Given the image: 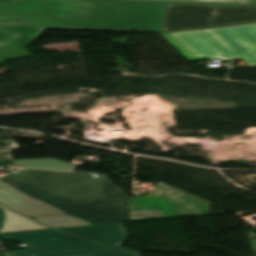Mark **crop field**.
I'll return each instance as SVG.
<instances>
[{
    "label": "crop field",
    "mask_w": 256,
    "mask_h": 256,
    "mask_svg": "<svg viewBox=\"0 0 256 256\" xmlns=\"http://www.w3.org/2000/svg\"><path fill=\"white\" fill-rule=\"evenodd\" d=\"M242 0H0V49L30 46L46 29L160 32L167 4Z\"/></svg>",
    "instance_id": "obj_1"
},
{
    "label": "crop field",
    "mask_w": 256,
    "mask_h": 256,
    "mask_svg": "<svg viewBox=\"0 0 256 256\" xmlns=\"http://www.w3.org/2000/svg\"><path fill=\"white\" fill-rule=\"evenodd\" d=\"M108 179L25 169L0 179V203L28 217L67 213L91 225L128 221L130 199Z\"/></svg>",
    "instance_id": "obj_2"
},
{
    "label": "crop field",
    "mask_w": 256,
    "mask_h": 256,
    "mask_svg": "<svg viewBox=\"0 0 256 256\" xmlns=\"http://www.w3.org/2000/svg\"><path fill=\"white\" fill-rule=\"evenodd\" d=\"M189 61L241 57L256 65V24L161 34Z\"/></svg>",
    "instance_id": "obj_3"
},
{
    "label": "crop field",
    "mask_w": 256,
    "mask_h": 256,
    "mask_svg": "<svg viewBox=\"0 0 256 256\" xmlns=\"http://www.w3.org/2000/svg\"><path fill=\"white\" fill-rule=\"evenodd\" d=\"M1 239L27 242L31 250L9 252V256H138L123 249H110L47 229L0 234Z\"/></svg>",
    "instance_id": "obj_4"
},
{
    "label": "crop field",
    "mask_w": 256,
    "mask_h": 256,
    "mask_svg": "<svg viewBox=\"0 0 256 256\" xmlns=\"http://www.w3.org/2000/svg\"><path fill=\"white\" fill-rule=\"evenodd\" d=\"M210 214V203L159 182L150 197L131 198L129 221Z\"/></svg>",
    "instance_id": "obj_5"
},
{
    "label": "crop field",
    "mask_w": 256,
    "mask_h": 256,
    "mask_svg": "<svg viewBox=\"0 0 256 256\" xmlns=\"http://www.w3.org/2000/svg\"><path fill=\"white\" fill-rule=\"evenodd\" d=\"M256 22V8L168 5L163 32Z\"/></svg>",
    "instance_id": "obj_6"
},
{
    "label": "crop field",
    "mask_w": 256,
    "mask_h": 256,
    "mask_svg": "<svg viewBox=\"0 0 256 256\" xmlns=\"http://www.w3.org/2000/svg\"><path fill=\"white\" fill-rule=\"evenodd\" d=\"M58 230L91 239L111 247H119L127 237L121 223L99 226L58 228Z\"/></svg>",
    "instance_id": "obj_7"
},
{
    "label": "crop field",
    "mask_w": 256,
    "mask_h": 256,
    "mask_svg": "<svg viewBox=\"0 0 256 256\" xmlns=\"http://www.w3.org/2000/svg\"><path fill=\"white\" fill-rule=\"evenodd\" d=\"M47 229V227L0 206V233Z\"/></svg>",
    "instance_id": "obj_8"
},
{
    "label": "crop field",
    "mask_w": 256,
    "mask_h": 256,
    "mask_svg": "<svg viewBox=\"0 0 256 256\" xmlns=\"http://www.w3.org/2000/svg\"><path fill=\"white\" fill-rule=\"evenodd\" d=\"M15 162L22 167H29V168L71 170L76 167L56 159L23 160V161H15Z\"/></svg>",
    "instance_id": "obj_9"
},
{
    "label": "crop field",
    "mask_w": 256,
    "mask_h": 256,
    "mask_svg": "<svg viewBox=\"0 0 256 256\" xmlns=\"http://www.w3.org/2000/svg\"><path fill=\"white\" fill-rule=\"evenodd\" d=\"M33 219L51 227V228L89 225L88 223H86L83 220L69 217L67 215L52 216V217H40V218H33Z\"/></svg>",
    "instance_id": "obj_10"
},
{
    "label": "crop field",
    "mask_w": 256,
    "mask_h": 256,
    "mask_svg": "<svg viewBox=\"0 0 256 256\" xmlns=\"http://www.w3.org/2000/svg\"><path fill=\"white\" fill-rule=\"evenodd\" d=\"M31 57L27 47L1 49L0 50V65L7 59L27 58Z\"/></svg>",
    "instance_id": "obj_11"
},
{
    "label": "crop field",
    "mask_w": 256,
    "mask_h": 256,
    "mask_svg": "<svg viewBox=\"0 0 256 256\" xmlns=\"http://www.w3.org/2000/svg\"><path fill=\"white\" fill-rule=\"evenodd\" d=\"M18 149L14 140L0 141V150Z\"/></svg>",
    "instance_id": "obj_12"
},
{
    "label": "crop field",
    "mask_w": 256,
    "mask_h": 256,
    "mask_svg": "<svg viewBox=\"0 0 256 256\" xmlns=\"http://www.w3.org/2000/svg\"><path fill=\"white\" fill-rule=\"evenodd\" d=\"M0 160H14L11 151H1Z\"/></svg>",
    "instance_id": "obj_13"
},
{
    "label": "crop field",
    "mask_w": 256,
    "mask_h": 256,
    "mask_svg": "<svg viewBox=\"0 0 256 256\" xmlns=\"http://www.w3.org/2000/svg\"><path fill=\"white\" fill-rule=\"evenodd\" d=\"M242 6L256 7V0H243Z\"/></svg>",
    "instance_id": "obj_14"
},
{
    "label": "crop field",
    "mask_w": 256,
    "mask_h": 256,
    "mask_svg": "<svg viewBox=\"0 0 256 256\" xmlns=\"http://www.w3.org/2000/svg\"><path fill=\"white\" fill-rule=\"evenodd\" d=\"M249 240H250V243L252 245L253 251H254L255 256H256V237L250 238Z\"/></svg>",
    "instance_id": "obj_15"
},
{
    "label": "crop field",
    "mask_w": 256,
    "mask_h": 256,
    "mask_svg": "<svg viewBox=\"0 0 256 256\" xmlns=\"http://www.w3.org/2000/svg\"><path fill=\"white\" fill-rule=\"evenodd\" d=\"M0 256H6V254H1V253H0Z\"/></svg>",
    "instance_id": "obj_16"
}]
</instances>
